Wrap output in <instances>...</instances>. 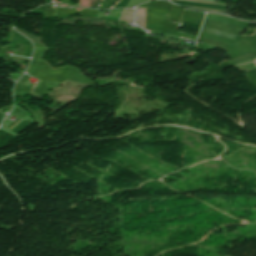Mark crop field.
Returning <instances> with one entry per match:
<instances>
[{
  "instance_id": "5",
  "label": "crop field",
  "mask_w": 256,
  "mask_h": 256,
  "mask_svg": "<svg viewBox=\"0 0 256 256\" xmlns=\"http://www.w3.org/2000/svg\"><path fill=\"white\" fill-rule=\"evenodd\" d=\"M183 1H192V2H201V3L217 4L216 2L201 1V0H183ZM221 5H222V4H221Z\"/></svg>"
},
{
  "instance_id": "1",
  "label": "crop field",
  "mask_w": 256,
  "mask_h": 256,
  "mask_svg": "<svg viewBox=\"0 0 256 256\" xmlns=\"http://www.w3.org/2000/svg\"><path fill=\"white\" fill-rule=\"evenodd\" d=\"M136 24L145 28V8L137 9Z\"/></svg>"
},
{
  "instance_id": "2",
  "label": "crop field",
  "mask_w": 256,
  "mask_h": 256,
  "mask_svg": "<svg viewBox=\"0 0 256 256\" xmlns=\"http://www.w3.org/2000/svg\"><path fill=\"white\" fill-rule=\"evenodd\" d=\"M133 17H134V10L133 9H129V10L125 11V13L123 14L121 20L133 22Z\"/></svg>"
},
{
  "instance_id": "4",
  "label": "crop field",
  "mask_w": 256,
  "mask_h": 256,
  "mask_svg": "<svg viewBox=\"0 0 256 256\" xmlns=\"http://www.w3.org/2000/svg\"><path fill=\"white\" fill-rule=\"evenodd\" d=\"M187 8L196 9V10H203V11H209V12H215V13H221V14H226V11H222V10L203 9V8H194V7H187Z\"/></svg>"
},
{
  "instance_id": "3",
  "label": "crop field",
  "mask_w": 256,
  "mask_h": 256,
  "mask_svg": "<svg viewBox=\"0 0 256 256\" xmlns=\"http://www.w3.org/2000/svg\"><path fill=\"white\" fill-rule=\"evenodd\" d=\"M17 31H19L21 34L27 36L28 38H30L33 42H37V43H40V38L39 37H36V36H33L31 34H28L27 32L19 29V28H15Z\"/></svg>"
}]
</instances>
